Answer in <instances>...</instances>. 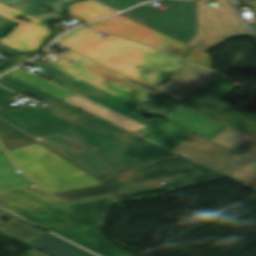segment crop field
I'll return each instance as SVG.
<instances>
[{"mask_svg": "<svg viewBox=\"0 0 256 256\" xmlns=\"http://www.w3.org/2000/svg\"><path fill=\"white\" fill-rule=\"evenodd\" d=\"M0 85L50 104L15 110L7 105L15 101V94L0 87V117L31 137L71 127L91 148L97 147L95 151L116 171L177 156L7 75L0 78Z\"/></svg>", "mask_w": 256, "mask_h": 256, "instance_id": "obj_1", "label": "crop field"}, {"mask_svg": "<svg viewBox=\"0 0 256 256\" xmlns=\"http://www.w3.org/2000/svg\"><path fill=\"white\" fill-rule=\"evenodd\" d=\"M115 200L105 195L65 203L30 186L0 192V206L37 223L102 256H132L112 245L99 231L108 207ZM85 248V249H86Z\"/></svg>", "mask_w": 256, "mask_h": 256, "instance_id": "obj_2", "label": "crop field"}, {"mask_svg": "<svg viewBox=\"0 0 256 256\" xmlns=\"http://www.w3.org/2000/svg\"><path fill=\"white\" fill-rule=\"evenodd\" d=\"M98 33L80 27L56 42L150 88L187 64L151 47L112 35L99 37Z\"/></svg>", "mask_w": 256, "mask_h": 256, "instance_id": "obj_3", "label": "crop field"}, {"mask_svg": "<svg viewBox=\"0 0 256 256\" xmlns=\"http://www.w3.org/2000/svg\"><path fill=\"white\" fill-rule=\"evenodd\" d=\"M224 178L182 157L97 177L99 186L55 193L66 201L111 193L117 200L122 196L143 193L160 188L179 189ZM160 182L166 184L161 185Z\"/></svg>", "mask_w": 256, "mask_h": 256, "instance_id": "obj_4", "label": "crop field"}, {"mask_svg": "<svg viewBox=\"0 0 256 256\" xmlns=\"http://www.w3.org/2000/svg\"><path fill=\"white\" fill-rule=\"evenodd\" d=\"M61 58L50 62H43L53 66L71 76H74L94 87L106 91L114 96L126 100L134 105L146 109L154 114L162 113L172 109L178 102L167 98L159 93H153L150 88L109 69L71 49L62 53ZM85 57L89 60L81 61ZM79 62L77 65L68 61ZM156 99L157 102L146 100Z\"/></svg>", "mask_w": 256, "mask_h": 256, "instance_id": "obj_5", "label": "crop field"}, {"mask_svg": "<svg viewBox=\"0 0 256 256\" xmlns=\"http://www.w3.org/2000/svg\"><path fill=\"white\" fill-rule=\"evenodd\" d=\"M8 154L20 170L50 193L100 184L38 143L8 151Z\"/></svg>", "mask_w": 256, "mask_h": 256, "instance_id": "obj_6", "label": "crop field"}, {"mask_svg": "<svg viewBox=\"0 0 256 256\" xmlns=\"http://www.w3.org/2000/svg\"><path fill=\"white\" fill-rule=\"evenodd\" d=\"M171 151L251 190L256 188V162L196 134Z\"/></svg>", "mask_w": 256, "mask_h": 256, "instance_id": "obj_7", "label": "crop field"}, {"mask_svg": "<svg viewBox=\"0 0 256 256\" xmlns=\"http://www.w3.org/2000/svg\"><path fill=\"white\" fill-rule=\"evenodd\" d=\"M168 3L171 7L164 12L143 5L121 15L187 43L196 35L195 5L170 1Z\"/></svg>", "mask_w": 256, "mask_h": 256, "instance_id": "obj_8", "label": "crop field"}, {"mask_svg": "<svg viewBox=\"0 0 256 256\" xmlns=\"http://www.w3.org/2000/svg\"><path fill=\"white\" fill-rule=\"evenodd\" d=\"M33 65L41 68L44 72V77L51 78L55 81V84H58L64 88H67L73 92H76L112 111H115L119 114H122L128 118H131L135 121H138L148 127L153 129L159 127L163 123L167 122L161 118L150 119L148 121L142 120V113L146 112L148 114L154 115L146 110H143L137 106H134L126 101H123L117 97H114L106 92H103L97 88H94L76 78H73L53 67L45 65L38 60H33ZM146 117V116H145ZM148 118V117H147Z\"/></svg>", "mask_w": 256, "mask_h": 256, "instance_id": "obj_9", "label": "crop field"}, {"mask_svg": "<svg viewBox=\"0 0 256 256\" xmlns=\"http://www.w3.org/2000/svg\"><path fill=\"white\" fill-rule=\"evenodd\" d=\"M205 1H198L199 34L189 45L205 52L227 38L245 35L227 1L216 3L217 8L207 7Z\"/></svg>", "mask_w": 256, "mask_h": 256, "instance_id": "obj_10", "label": "crop field"}, {"mask_svg": "<svg viewBox=\"0 0 256 256\" xmlns=\"http://www.w3.org/2000/svg\"><path fill=\"white\" fill-rule=\"evenodd\" d=\"M94 177L115 170L91 149L71 128L34 137Z\"/></svg>", "mask_w": 256, "mask_h": 256, "instance_id": "obj_11", "label": "crop field"}, {"mask_svg": "<svg viewBox=\"0 0 256 256\" xmlns=\"http://www.w3.org/2000/svg\"><path fill=\"white\" fill-rule=\"evenodd\" d=\"M88 27L130 38L173 53L181 58L184 55L178 53V51L189 47L185 43L179 42L121 15L98 21L88 25Z\"/></svg>", "mask_w": 256, "mask_h": 256, "instance_id": "obj_12", "label": "crop field"}, {"mask_svg": "<svg viewBox=\"0 0 256 256\" xmlns=\"http://www.w3.org/2000/svg\"><path fill=\"white\" fill-rule=\"evenodd\" d=\"M0 15L20 25L15 27L11 33L0 39L3 43L19 52L35 51L49 36L50 31L47 23L18 11L0 2ZM18 15L31 22L22 21L15 16Z\"/></svg>", "mask_w": 256, "mask_h": 256, "instance_id": "obj_13", "label": "crop field"}, {"mask_svg": "<svg viewBox=\"0 0 256 256\" xmlns=\"http://www.w3.org/2000/svg\"><path fill=\"white\" fill-rule=\"evenodd\" d=\"M181 102L247 135L253 137L256 134V116L224 100H219L214 105L188 98Z\"/></svg>", "mask_w": 256, "mask_h": 256, "instance_id": "obj_14", "label": "crop field"}, {"mask_svg": "<svg viewBox=\"0 0 256 256\" xmlns=\"http://www.w3.org/2000/svg\"><path fill=\"white\" fill-rule=\"evenodd\" d=\"M163 117L211 140L228 126L184 104H178Z\"/></svg>", "mask_w": 256, "mask_h": 256, "instance_id": "obj_15", "label": "crop field"}, {"mask_svg": "<svg viewBox=\"0 0 256 256\" xmlns=\"http://www.w3.org/2000/svg\"><path fill=\"white\" fill-rule=\"evenodd\" d=\"M76 108H79L95 117L106 120L130 133L143 127L142 125L127 119L121 115H118L110 110H107L101 106H98L88 100H85L77 95L70 96L64 99H60Z\"/></svg>", "mask_w": 256, "mask_h": 256, "instance_id": "obj_16", "label": "crop field"}, {"mask_svg": "<svg viewBox=\"0 0 256 256\" xmlns=\"http://www.w3.org/2000/svg\"><path fill=\"white\" fill-rule=\"evenodd\" d=\"M135 134H144L143 138L171 150L193 133L168 121L155 130L146 127Z\"/></svg>", "mask_w": 256, "mask_h": 256, "instance_id": "obj_17", "label": "crop field"}, {"mask_svg": "<svg viewBox=\"0 0 256 256\" xmlns=\"http://www.w3.org/2000/svg\"><path fill=\"white\" fill-rule=\"evenodd\" d=\"M0 1L47 22V21L63 18L62 16L56 13L59 12L63 14L62 12L63 5L75 0H0ZM38 4L46 5L52 8L55 12H51L39 6ZM41 10H45L49 12L44 13Z\"/></svg>", "mask_w": 256, "mask_h": 256, "instance_id": "obj_18", "label": "crop field"}, {"mask_svg": "<svg viewBox=\"0 0 256 256\" xmlns=\"http://www.w3.org/2000/svg\"><path fill=\"white\" fill-rule=\"evenodd\" d=\"M212 141L256 161L255 138H251L228 127L218 136L212 139Z\"/></svg>", "mask_w": 256, "mask_h": 256, "instance_id": "obj_19", "label": "crop field"}, {"mask_svg": "<svg viewBox=\"0 0 256 256\" xmlns=\"http://www.w3.org/2000/svg\"><path fill=\"white\" fill-rule=\"evenodd\" d=\"M30 246L50 256H95L50 233Z\"/></svg>", "mask_w": 256, "mask_h": 256, "instance_id": "obj_20", "label": "crop field"}, {"mask_svg": "<svg viewBox=\"0 0 256 256\" xmlns=\"http://www.w3.org/2000/svg\"><path fill=\"white\" fill-rule=\"evenodd\" d=\"M6 216L11 221L5 223L1 221V217ZM0 231L14 237L24 243H30L45 232L33 227L32 225L14 218L12 215L0 210Z\"/></svg>", "mask_w": 256, "mask_h": 256, "instance_id": "obj_21", "label": "crop field"}, {"mask_svg": "<svg viewBox=\"0 0 256 256\" xmlns=\"http://www.w3.org/2000/svg\"><path fill=\"white\" fill-rule=\"evenodd\" d=\"M226 77L219 75L196 93H192L188 98L200 100L214 104L230 93L237 84L225 80Z\"/></svg>", "mask_w": 256, "mask_h": 256, "instance_id": "obj_22", "label": "crop field"}, {"mask_svg": "<svg viewBox=\"0 0 256 256\" xmlns=\"http://www.w3.org/2000/svg\"><path fill=\"white\" fill-rule=\"evenodd\" d=\"M7 75L19 80V81H22L34 88H37L49 95H52L58 99L60 98H64V97H67V96H70V95H74L42 78H39L37 76H34L32 74H30L29 72L21 69V68H18L10 73H8Z\"/></svg>", "mask_w": 256, "mask_h": 256, "instance_id": "obj_23", "label": "crop field"}, {"mask_svg": "<svg viewBox=\"0 0 256 256\" xmlns=\"http://www.w3.org/2000/svg\"><path fill=\"white\" fill-rule=\"evenodd\" d=\"M14 170L16 168L5 153L0 154V191L10 186L18 189L32 184L22 173L17 174Z\"/></svg>", "mask_w": 256, "mask_h": 256, "instance_id": "obj_24", "label": "crop field"}, {"mask_svg": "<svg viewBox=\"0 0 256 256\" xmlns=\"http://www.w3.org/2000/svg\"><path fill=\"white\" fill-rule=\"evenodd\" d=\"M68 13L87 22L115 14L88 0L76 2L68 6Z\"/></svg>", "mask_w": 256, "mask_h": 256, "instance_id": "obj_25", "label": "crop field"}, {"mask_svg": "<svg viewBox=\"0 0 256 256\" xmlns=\"http://www.w3.org/2000/svg\"><path fill=\"white\" fill-rule=\"evenodd\" d=\"M0 139L6 150L35 142L25 134L0 120Z\"/></svg>", "mask_w": 256, "mask_h": 256, "instance_id": "obj_26", "label": "crop field"}, {"mask_svg": "<svg viewBox=\"0 0 256 256\" xmlns=\"http://www.w3.org/2000/svg\"><path fill=\"white\" fill-rule=\"evenodd\" d=\"M230 7L232 8L233 12L235 13L236 17L238 18L240 24L242 25L245 33L247 36L255 35L256 36V22L254 23H247L245 21V18L241 14L240 11H238L237 5L240 3L239 0H227Z\"/></svg>", "mask_w": 256, "mask_h": 256, "instance_id": "obj_27", "label": "crop field"}, {"mask_svg": "<svg viewBox=\"0 0 256 256\" xmlns=\"http://www.w3.org/2000/svg\"><path fill=\"white\" fill-rule=\"evenodd\" d=\"M184 60L199 66L209 68V69L212 66L209 55L193 48H191L188 56Z\"/></svg>", "mask_w": 256, "mask_h": 256, "instance_id": "obj_28", "label": "crop field"}, {"mask_svg": "<svg viewBox=\"0 0 256 256\" xmlns=\"http://www.w3.org/2000/svg\"><path fill=\"white\" fill-rule=\"evenodd\" d=\"M97 1L121 11L130 7H133L147 0H97Z\"/></svg>", "mask_w": 256, "mask_h": 256, "instance_id": "obj_29", "label": "crop field"}, {"mask_svg": "<svg viewBox=\"0 0 256 256\" xmlns=\"http://www.w3.org/2000/svg\"><path fill=\"white\" fill-rule=\"evenodd\" d=\"M14 24L15 23L0 16V38L5 35L7 28Z\"/></svg>", "mask_w": 256, "mask_h": 256, "instance_id": "obj_30", "label": "crop field"}, {"mask_svg": "<svg viewBox=\"0 0 256 256\" xmlns=\"http://www.w3.org/2000/svg\"><path fill=\"white\" fill-rule=\"evenodd\" d=\"M0 52L6 53V54H9V55H13V54L19 53V52L15 51V50H13V49L3 45V44H0ZM3 66H5V64L2 63V59H0V67H3Z\"/></svg>", "mask_w": 256, "mask_h": 256, "instance_id": "obj_31", "label": "crop field"}, {"mask_svg": "<svg viewBox=\"0 0 256 256\" xmlns=\"http://www.w3.org/2000/svg\"><path fill=\"white\" fill-rule=\"evenodd\" d=\"M61 32H63V30H60V29H55L54 30V34L51 36V38L47 41V43L40 49V51L52 40V39H54L57 35H59ZM39 51V52H40ZM38 52V53H39ZM38 53H34V54H28V55H30V56H35V55H37Z\"/></svg>", "mask_w": 256, "mask_h": 256, "instance_id": "obj_32", "label": "crop field"}, {"mask_svg": "<svg viewBox=\"0 0 256 256\" xmlns=\"http://www.w3.org/2000/svg\"><path fill=\"white\" fill-rule=\"evenodd\" d=\"M25 61H26V60H24V59H22V58H17L16 61H15L11 66H9V67H7V68L1 70L0 72L4 73V72H6L7 70H9V69H11V68H13V67H15V66H17V65H19V64H21V63H23V62H25Z\"/></svg>", "mask_w": 256, "mask_h": 256, "instance_id": "obj_33", "label": "crop field"}, {"mask_svg": "<svg viewBox=\"0 0 256 256\" xmlns=\"http://www.w3.org/2000/svg\"><path fill=\"white\" fill-rule=\"evenodd\" d=\"M26 253H27L29 256H45V255H43V254H41V253H39V252H37V251H35V250L27 251Z\"/></svg>", "mask_w": 256, "mask_h": 256, "instance_id": "obj_34", "label": "crop field"}, {"mask_svg": "<svg viewBox=\"0 0 256 256\" xmlns=\"http://www.w3.org/2000/svg\"><path fill=\"white\" fill-rule=\"evenodd\" d=\"M22 57H25V58H28V59H30V58H32V57H29V56H27V55H25V54H23V55H21Z\"/></svg>", "mask_w": 256, "mask_h": 256, "instance_id": "obj_35", "label": "crop field"}, {"mask_svg": "<svg viewBox=\"0 0 256 256\" xmlns=\"http://www.w3.org/2000/svg\"><path fill=\"white\" fill-rule=\"evenodd\" d=\"M91 1V0H90ZM93 2V1H92ZM95 3V2H94ZM97 4V3H96ZM99 5V4H98ZM101 6V5H100ZM108 9V8H107ZM109 10H111V9H109ZM111 11H113V10H111ZM113 12H115L116 13V11H113Z\"/></svg>", "mask_w": 256, "mask_h": 256, "instance_id": "obj_36", "label": "crop field"}, {"mask_svg": "<svg viewBox=\"0 0 256 256\" xmlns=\"http://www.w3.org/2000/svg\"><path fill=\"white\" fill-rule=\"evenodd\" d=\"M0 152H3V149L1 148V146H0Z\"/></svg>", "mask_w": 256, "mask_h": 256, "instance_id": "obj_37", "label": "crop field"}, {"mask_svg": "<svg viewBox=\"0 0 256 256\" xmlns=\"http://www.w3.org/2000/svg\"><path fill=\"white\" fill-rule=\"evenodd\" d=\"M81 60H87V59H85V58H82Z\"/></svg>", "mask_w": 256, "mask_h": 256, "instance_id": "obj_38", "label": "crop field"}, {"mask_svg": "<svg viewBox=\"0 0 256 256\" xmlns=\"http://www.w3.org/2000/svg\"><path fill=\"white\" fill-rule=\"evenodd\" d=\"M148 100H152V99H148ZM153 101H155V100H153Z\"/></svg>", "mask_w": 256, "mask_h": 256, "instance_id": "obj_39", "label": "crop field"}, {"mask_svg": "<svg viewBox=\"0 0 256 256\" xmlns=\"http://www.w3.org/2000/svg\"><path fill=\"white\" fill-rule=\"evenodd\" d=\"M74 64H77V62H75Z\"/></svg>", "mask_w": 256, "mask_h": 256, "instance_id": "obj_40", "label": "crop field"}, {"mask_svg": "<svg viewBox=\"0 0 256 256\" xmlns=\"http://www.w3.org/2000/svg\"><path fill=\"white\" fill-rule=\"evenodd\" d=\"M153 92H156V91H154V90H152Z\"/></svg>", "mask_w": 256, "mask_h": 256, "instance_id": "obj_41", "label": "crop field"}, {"mask_svg": "<svg viewBox=\"0 0 256 256\" xmlns=\"http://www.w3.org/2000/svg\"><path fill=\"white\" fill-rule=\"evenodd\" d=\"M254 190H256V189H254Z\"/></svg>", "mask_w": 256, "mask_h": 256, "instance_id": "obj_42", "label": "crop field"}, {"mask_svg": "<svg viewBox=\"0 0 256 256\" xmlns=\"http://www.w3.org/2000/svg\"><path fill=\"white\" fill-rule=\"evenodd\" d=\"M0 74H2V73H0Z\"/></svg>", "mask_w": 256, "mask_h": 256, "instance_id": "obj_43", "label": "crop field"}, {"mask_svg": "<svg viewBox=\"0 0 256 256\" xmlns=\"http://www.w3.org/2000/svg\"><path fill=\"white\" fill-rule=\"evenodd\" d=\"M256 138V137H255Z\"/></svg>", "mask_w": 256, "mask_h": 256, "instance_id": "obj_44", "label": "crop field"}]
</instances>
